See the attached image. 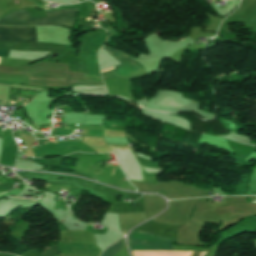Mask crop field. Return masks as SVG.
<instances>
[{
	"label": "crop field",
	"mask_w": 256,
	"mask_h": 256,
	"mask_svg": "<svg viewBox=\"0 0 256 256\" xmlns=\"http://www.w3.org/2000/svg\"><path fill=\"white\" fill-rule=\"evenodd\" d=\"M77 9L61 10L46 13L49 18H31L25 10L12 12L0 19V25L19 26H65L73 27Z\"/></svg>",
	"instance_id": "crop-field-1"
},
{
	"label": "crop field",
	"mask_w": 256,
	"mask_h": 256,
	"mask_svg": "<svg viewBox=\"0 0 256 256\" xmlns=\"http://www.w3.org/2000/svg\"><path fill=\"white\" fill-rule=\"evenodd\" d=\"M59 253L97 256L99 251L91 245L58 243Z\"/></svg>",
	"instance_id": "crop-field-5"
},
{
	"label": "crop field",
	"mask_w": 256,
	"mask_h": 256,
	"mask_svg": "<svg viewBox=\"0 0 256 256\" xmlns=\"http://www.w3.org/2000/svg\"><path fill=\"white\" fill-rule=\"evenodd\" d=\"M102 48L105 49L108 53H110L113 57H115L121 63H123L131 58V57H129L115 49H112L110 47H102Z\"/></svg>",
	"instance_id": "crop-field-6"
},
{
	"label": "crop field",
	"mask_w": 256,
	"mask_h": 256,
	"mask_svg": "<svg viewBox=\"0 0 256 256\" xmlns=\"http://www.w3.org/2000/svg\"><path fill=\"white\" fill-rule=\"evenodd\" d=\"M130 250H172L175 240H168L150 233L131 231L128 235Z\"/></svg>",
	"instance_id": "crop-field-2"
},
{
	"label": "crop field",
	"mask_w": 256,
	"mask_h": 256,
	"mask_svg": "<svg viewBox=\"0 0 256 256\" xmlns=\"http://www.w3.org/2000/svg\"><path fill=\"white\" fill-rule=\"evenodd\" d=\"M0 47L7 48V49H13V42H1L0 41Z\"/></svg>",
	"instance_id": "crop-field-8"
},
{
	"label": "crop field",
	"mask_w": 256,
	"mask_h": 256,
	"mask_svg": "<svg viewBox=\"0 0 256 256\" xmlns=\"http://www.w3.org/2000/svg\"><path fill=\"white\" fill-rule=\"evenodd\" d=\"M9 50L0 49V56L7 57Z\"/></svg>",
	"instance_id": "crop-field-9"
},
{
	"label": "crop field",
	"mask_w": 256,
	"mask_h": 256,
	"mask_svg": "<svg viewBox=\"0 0 256 256\" xmlns=\"http://www.w3.org/2000/svg\"><path fill=\"white\" fill-rule=\"evenodd\" d=\"M0 40L36 42L35 28L0 26Z\"/></svg>",
	"instance_id": "crop-field-4"
},
{
	"label": "crop field",
	"mask_w": 256,
	"mask_h": 256,
	"mask_svg": "<svg viewBox=\"0 0 256 256\" xmlns=\"http://www.w3.org/2000/svg\"><path fill=\"white\" fill-rule=\"evenodd\" d=\"M120 250V243L117 242L116 244L109 247L106 251H104L102 256H114V254Z\"/></svg>",
	"instance_id": "crop-field-7"
},
{
	"label": "crop field",
	"mask_w": 256,
	"mask_h": 256,
	"mask_svg": "<svg viewBox=\"0 0 256 256\" xmlns=\"http://www.w3.org/2000/svg\"><path fill=\"white\" fill-rule=\"evenodd\" d=\"M102 77H107L109 75L114 74L117 78H123L128 79L136 76L143 75L147 73L142 67L137 65L135 62H133L131 59L123 64H120L116 67H113L111 69L103 70L101 71ZM114 75L109 76L107 78H104L103 80L113 78Z\"/></svg>",
	"instance_id": "crop-field-3"
}]
</instances>
